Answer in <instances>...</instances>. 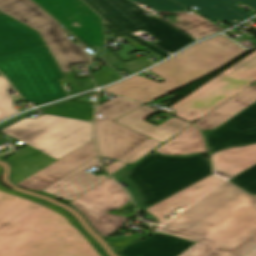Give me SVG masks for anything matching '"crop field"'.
Listing matches in <instances>:
<instances>
[{
  "label": "crop field",
  "instance_id": "1",
  "mask_svg": "<svg viewBox=\"0 0 256 256\" xmlns=\"http://www.w3.org/2000/svg\"><path fill=\"white\" fill-rule=\"evenodd\" d=\"M157 232L198 241L179 256H243L256 247V198L225 182Z\"/></svg>",
  "mask_w": 256,
  "mask_h": 256
},
{
  "label": "crop field",
  "instance_id": "2",
  "mask_svg": "<svg viewBox=\"0 0 256 256\" xmlns=\"http://www.w3.org/2000/svg\"><path fill=\"white\" fill-rule=\"evenodd\" d=\"M0 71L26 100L39 105L66 97L64 78L36 31L0 15Z\"/></svg>",
  "mask_w": 256,
  "mask_h": 256
},
{
  "label": "crop field",
  "instance_id": "3",
  "mask_svg": "<svg viewBox=\"0 0 256 256\" xmlns=\"http://www.w3.org/2000/svg\"><path fill=\"white\" fill-rule=\"evenodd\" d=\"M75 222L68 211L0 184V256H30Z\"/></svg>",
  "mask_w": 256,
  "mask_h": 256
},
{
  "label": "crop field",
  "instance_id": "4",
  "mask_svg": "<svg viewBox=\"0 0 256 256\" xmlns=\"http://www.w3.org/2000/svg\"><path fill=\"white\" fill-rule=\"evenodd\" d=\"M2 131L29 144L5 160L13 165L15 184L93 139L91 123L48 114L25 118Z\"/></svg>",
  "mask_w": 256,
  "mask_h": 256
},
{
  "label": "crop field",
  "instance_id": "5",
  "mask_svg": "<svg viewBox=\"0 0 256 256\" xmlns=\"http://www.w3.org/2000/svg\"><path fill=\"white\" fill-rule=\"evenodd\" d=\"M245 51L219 35L150 69L165 80L162 83L136 75L103 90L147 104L224 65Z\"/></svg>",
  "mask_w": 256,
  "mask_h": 256
},
{
  "label": "crop field",
  "instance_id": "6",
  "mask_svg": "<svg viewBox=\"0 0 256 256\" xmlns=\"http://www.w3.org/2000/svg\"><path fill=\"white\" fill-rule=\"evenodd\" d=\"M213 174L209 160L151 154L127 173L144 198L146 209Z\"/></svg>",
  "mask_w": 256,
  "mask_h": 256
},
{
  "label": "crop field",
  "instance_id": "7",
  "mask_svg": "<svg viewBox=\"0 0 256 256\" xmlns=\"http://www.w3.org/2000/svg\"><path fill=\"white\" fill-rule=\"evenodd\" d=\"M123 35H127L162 57L169 56L130 33L142 28L161 42L155 43L169 53H174L195 41L167 23L144 14V10L128 0H84Z\"/></svg>",
  "mask_w": 256,
  "mask_h": 256
},
{
  "label": "crop field",
  "instance_id": "8",
  "mask_svg": "<svg viewBox=\"0 0 256 256\" xmlns=\"http://www.w3.org/2000/svg\"><path fill=\"white\" fill-rule=\"evenodd\" d=\"M256 82V51L172 105L177 116L194 121Z\"/></svg>",
  "mask_w": 256,
  "mask_h": 256
},
{
  "label": "crop field",
  "instance_id": "9",
  "mask_svg": "<svg viewBox=\"0 0 256 256\" xmlns=\"http://www.w3.org/2000/svg\"><path fill=\"white\" fill-rule=\"evenodd\" d=\"M0 11L36 29L44 39L62 73L71 72L68 65L90 62L85 52L69 41L57 22L31 0H0Z\"/></svg>",
  "mask_w": 256,
  "mask_h": 256
},
{
  "label": "crop field",
  "instance_id": "10",
  "mask_svg": "<svg viewBox=\"0 0 256 256\" xmlns=\"http://www.w3.org/2000/svg\"><path fill=\"white\" fill-rule=\"evenodd\" d=\"M141 106L119 96L98 106L97 113H103V119L96 120L98 149L102 157L118 160L148 138L113 122Z\"/></svg>",
  "mask_w": 256,
  "mask_h": 256
},
{
  "label": "crop field",
  "instance_id": "11",
  "mask_svg": "<svg viewBox=\"0 0 256 256\" xmlns=\"http://www.w3.org/2000/svg\"><path fill=\"white\" fill-rule=\"evenodd\" d=\"M129 200V194L108 177L69 204L83 213L92 227L105 238L129 220L107 212L119 209Z\"/></svg>",
  "mask_w": 256,
  "mask_h": 256
},
{
  "label": "crop field",
  "instance_id": "12",
  "mask_svg": "<svg viewBox=\"0 0 256 256\" xmlns=\"http://www.w3.org/2000/svg\"><path fill=\"white\" fill-rule=\"evenodd\" d=\"M95 52H102L104 35L100 17L81 0H34Z\"/></svg>",
  "mask_w": 256,
  "mask_h": 256
},
{
  "label": "crop field",
  "instance_id": "13",
  "mask_svg": "<svg viewBox=\"0 0 256 256\" xmlns=\"http://www.w3.org/2000/svg\"><path fill=\"white\" fill-rule=\"evenodd\" d=\"M96 156L94 141L91 140L17 185L29 189L42 190Z\"/></svg>",
  "mask_w": 256,
  "mask_h": 256
},
{
  "label": "crop field",
  "instance_id": "14",
  "mask_svg": "<svg viewBox=\"0 0 256 256\" xmlns=\"http://www.w3.org/2000/svg\"><path fill=\"white\" fill-rule=\"evenodd\" d=\"M206 138L211 153L234 145L255 143L256 103Z\"/></svg>",
  "mask_w": 256,
  "mask_h": 256
},
{
  "label": "crop field",
  "instance_id": "15",
  "mask_svg": "<svg viewBox=\"0 0 256 256\" xmlns=\"http://www.w3.org/2000/svg\"><path fill=\"white\" fill-rule=\"evenodd\" d=\"M31 256H109L76 222Z\"/></svg>",
  "mask_w": 256,
  "mask_h": 256
},
{
  "label": "crop field",
  "instance_id": "16",
  "mask_svg": "<svg viewBox=\"0 0 256 256\" xmlns=\"http://www.w3.org/2000/svg\"><path fill=\"white\" fill-rule=\"evenodd\" d=\"M155 111L156 110L154 109L143 106L115 120V122L135 130L145 136L151 137L163 144L175 137L190 125L175 117L171 118L158 127L143 120Z\"/></svg>",
  "mask_w": 256,
  "mask_h": 256
},
{
  "label": "crop field",
  "instance_id": "17",
  "mask_svg": "<svg viewBox=\"0 0 256 256\" xmlns=\"http://www.w3.org/2000/svg\"><path fill=\"white\" fill-rule=\"evenodd\" d=\"M223 181L212 175L146 210L159 221V224L165 223L164 218L173 210L188 207Z\"/></svg>",
  "mask_w": 256,
  "mask_h": 256
},
{
  "label": "crop field",
  "instance_id": "18",
  "mask_svg": "<svg viewBox=\"0 0 256 256\" xmlns=\"http://www.w3.org/2000/svg\"><path fill=\"white\" fill-rule=\"evenodd\" d=\"M183 6L190 8L195 6L199 9L197 13L211 19L218 18L230 25H235L253 15L233 6L232 4L240 1L256 10V0H175Z\"/></svg>",
  "mask_w": 256,
  "mask_h": 256
},
{
  "label": "crop field",
  "instance_id": "19",
  "mask_svg": "<svg viewBox=\"0 0 256 256\" xmlns=\"http://www.w3.org/2000/svg\"><path fill=\"white\" fill-rule=\"evenodd\" d=\"M193 242L164 234L155 233L147 240L136 242L120 253L121 256H177Z\"/></svg>",
  "mask_w": 256,
  "mask_h": 256
},
{
  "label": "crop field",
  "instance_id": "20",
  "mask_svg": "<svg viewBox=\"0 0 256 256\" xmlns=\"http://www.w3.org/2000/svg\"><path fill=\"white\" fill-rule=\"evenodd\" d=\"M98 163V157H96L75 172L47 187L43 191H46L59 198H66L70 201L74 200L82 193L106 178V176L100 175L97 177L84 171Z\"/></svg>",
  "mask_w": 256,
  "mask_h": 256
},
{
  "label": "crop field",
  "instance_id": "21",
  "mask_svg": "<svg viewBox=\"0 0 256 256\" xmlns=\"http://www.w3.org/2000/svg\"><path fill=\"white\" fill-rule=\"evenodd\" d=\"M254 101H256V85L248 87L193 124L200 129L215 128L252 104Z\"/></svg>",
  "mask_w": 256,
  "mask_h": 256
},
{
  "label": "crop field",
  "instance_id": "22",
  "mask_svg": "<svg viewBox=\"0 0 256 256\" xmlns=\"http://www.w3.org/2000/svg\"><path fill=\"white\" fill-rule=\"evenodd\" d=\"M211 156L214 169L232 177L256 163V144L227 149Z\"/></svg>",
  "mask_w": 256,
  "mask_h": 256
},
{
  "label": "crop field",
  "instance_id": "23",
  "mask_svg": "<svg viewBox=\"0 0 256 256\" xmlns=\"http://www.w3.org/2000/svg\"><path fill=\"white\" fill-rule=\"evenodd\" d=\"M155 151L163 155L207 153L202 134L192 125Z\"/></svg>",
  "mask_w": 256,
  "mask_h": 256
},
{
  "label": "crop field",
  "instance_id": "24",
  "mask_svg": "<svg viewBox=\"0 0 256 256\" xmlns=\"http://www.w3.org/2000/svg\"><path fill=\"white\" fill-rule=\"evenodd\" d=\"M175 19H177L179 22L173 24L174 26L184 30L197 39L224 30L220 26L199 16L194 12L190 14L186 12L178 13L176 14Z\"/></svg>",
  "mask_w": 256,
  "mask_h": 256
},
{
  "label": "crop field",
  "instance_id": "25",
  "mask_svg": "<svg viewBox=\"0 0 256 256\" xmlns=\"http://www.w3.org/2000/svg\"><path fill=\"white\" fill-rule=\"evenodd\" d=\"M43 113L89 120L93 118L94 106H88L77 103H64L50 109L42 111Z\"/></svg>",
  "mask_w": 256,
  "mask_h": 256
},
{
  "label": "crop field",
  "instance_id": "26",
  "mask_svg": "<svg viewBox=\"0 0 256 256\" xmlns=\"http://www.w3.org/2000/svg\"><path fill=\"white\" fill-rule=\"evenodd\" d=\"M112 54L108 50H106L103 59L111 65L116 64L118 66L117 68H115L117 71L125 69L129 73L133 74L137 71H140L146 67L153 65L152 62L145 58L123 63Z\"/></svg>",
  "mask_w": 256,
  "mask_h": 256
},
{
  "label": "crop field",
  "instance_id": "27",
  "mask_svg": "<svg viewBox=\"0 0 256 256\" xmlns=\"http://www.w3.org/2000/svg\"><path fill=\"white\" fill-rule=\"evenodd\" d=\"M8 86L6 79L0 76V120L20 112L13 108L12 99L7 90Z\"/></svg>",
  "mask_w": 256,
  "mask_h": 256
},
{
  "label": "crop field",
  "instance_id": "28",
  "mask_svg": "<svg viewBox=\"0 0 256 256\" xmlns=\"http://www.w3.org/2000/svg\"><path fill=\"white\" fill-rule=\"evenodd\" d=\"M160 145L162 144L149 138L118 161L132 164L141 159L147 153L154 151Z\"/></svg>",
  "mask_w": 256,
  "mask_h": 256
},
{
  "label": "crop field",
  "instance_id": "29",
  "mask_svg": "<svg viewBox=\"0 0 256 256\" xmlns=\"http://www.w3.org/2000/svg\"><path fill=\"white\" fill-rule=\"evenodd\" d=\"M256 195V165L229 180Z\"/></svg>",
  "mask_w": 256,
  "mask_h": 256
},
{
  "label": "crop field",
  "instance_id": "30",
  "mask_svg": "<svg viewBox=\"0 0 256 256\" xmlns=\"http://www.w3.org/2000/svg\"><path fill=\"white\" fill-rule=\"evenodd\" d=\"M131 2L139 1L157 12L168 11L170 13L187 10V8L175 3L172 0H129Z\"/></svg>",
  "mask_w": 256,
  "mask_h": 256
},
{
  "label": "crop field",
  "instance_id": "31",
  "mask_svg": "<svg viewBox=\"0 0 256 256\" xmlns=\"http://www.w3.org/2000/svg\"><path fill=\"white\" fill-rule=\"evenodd\" d=\"M93 78L97 86L100 87L121 78V76L106 64L104 68L94 73Z\"/></svg>",
  "mask_w": 256,
  "mask_h": 256
},
{
  "label": "crop field",
  "instance_id": "32",
  "mask_svg": "<svg viewBox=\"0 0 256 256\" xmlns=\"http://www.w3.org/2000/svg\"><path fill=\"white\" fill-rule=\"evenodd\" d=\"M71 86L74 94L94 88V84L90 78L76 80L73 73L63 74Z\"/></svg>",
  "mask_w": 256,
  "mask_h": 256
},
{
  "label": "crop field",
  "instance_id": "33",
  "mask_svg": "<svg viewBox=\"0 0 256 256\" xmlns=\"http://www.w3.org/2000/svg\"><path fill=\"white\" fill-rule=\"evenodd\" d=\"M125 163H121V162H114L111 165L105 167L106 170L109 172V174H113L115 171H117L118 169H120L122 166H124Z\"/></svg>",
  "mask_w": 256,
  "mask_h": 256
},
{
  "label": "crop field",
  "instance_id": "34",
  "mask_svg": "<svg viewBox=\"0 0 256 256\" xmlns=\"http://www.w3.org/2000/svg\"><path fill=\"white\" fill-rule=\"evenodd\" d=\"M125 40H127L131 45H133L139 51L146 50L145 48H143L142 46L138 45L137 43L133 42L132 40H130L128 38H126Z\"/></svg>",
  "mask_w": 256,
  "mask_h": 256
},
{
  "label": "crop field",
  "instance_id": "35",
  "mask_svg": "<svg viewBox=\"0 0 256 256\" xmlns=\"http://www.w3.org/2000/svg\"><path fill=\"white\" fill-rule=\"evenodd\" d=\"M245 256H256V248L253 249L252 251H250L248 254H246Z\"/></svg>",
  "mask_w": 256,
  "mask_h": 256
},
{
  "label": "crop field",
  "instance_id": "36",
  "mask_svg": "<svg viewBox=\"0 0 256 256\" xmlns=\"http://www.w3.org/2000/svg\"><path fill=\"white\" fill-rule=\"evenodd\" d=\"M254 21H256V18L255 19H253Z\"/></svg>",
  "mask_w": 256,
  "mask_h": 256
},
{
  "label": "crop field",
  "instance_id": "37",
  "mask_svg": "<svg viewBox=\"0 0 256 256\" xmlns=\"http://www.w3.org/2000/svg\"><path fill=\"white\" fill-rule=\"evenodd\" d=\"M0 14H1V12H0Z\"/></svg>",
  "mask_w": 256,
  "mask_h": 256
}]
</instances>
